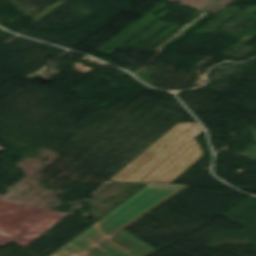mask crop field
Returning a JSON list of instances; mask_svg holds the SVG:
<instances>
[{
	"label": "crop field",
	"instance_id": "1",
	"mask_svg": "<svg viewBox=\"0 0 256 256\" xmlns=\"http://www.w3.org/2000/svg\"><path fill=\"white\" fill-rule=\"evenodd\" d=\"M134 221L108 214L51 256H83Z\"/></svg>",
	"mask_w": 256,
	"mask_h": 256
},
{
	"label": "crop field",
	"instance_id": "2",
	"mask_svg": "<svg viewBox=\"0 0 256 256\" xmlns=\"http://www.w3.org/2000/svg\"><path fill=\"white\" fill-rule=\"evenodd\" d=\"M182 188L184 187L147 185L110 212L111 214L137 220Z\"/></svg>",
	"mask_w": 256,
	"mask_h": 256
},
{
	"label": "crop field",
	"instance_id": "3",
	"mask_svg": "<svg viewBox=\"0 0 256 256\" xmlns=\"http://www.w3.org/2000/svg\"><path fill=\"white\" fill-rule=\"evenodd\" d=\"M155 251L123 229L85 256H148Z\"/></svg>",
	"mask_w": 256,
	"mask_h": 256
}]
</instances>
